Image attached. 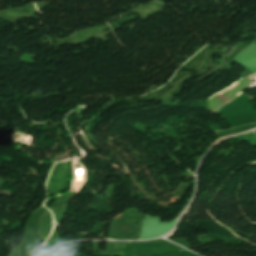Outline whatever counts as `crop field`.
I'll use <instances>...</instances> for the list:
<instances>
[{
    "mask_svg": "<svg viewBox=\"0 0 256 256\" xmlns=\"http://www.w3.org/2000/svg\"><path fill=\"white\" fill-rule=\"evenodd\" d=\"M252 75H253L254 79H256V73H254V74H252Z\"/></svg>",
    "mask_w": 256,
    "mask_h": 256,
    "instance_id": "8a807250",
    "label": "crop field"
}]
</instances>
